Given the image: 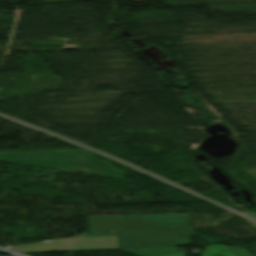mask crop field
Here are the masks:
<instances>
[{"label": "crop field", "instance_id": "obj_1", "mask_svg": "<svg viewBox=\"0 0 256 256\" xmlns=\"http://www.w3.org/2000/svg\"><path fill=\"white\" fill-rule=\"evenodd\" d=\"M84 150L0 153V161L42 166L121 179L124 171Z\"/></svg>", "mask_w": 256, "mask_h": 256}, {"label": "crop field", "instance_id": "obj_2", "mask_svg": "<svg viewBox=\"0 0 256 256\" xmlns=\"http://www.w3.org/2000/svg\"><path fill=\"white\" fill-rule=\"evenodd\" d=\"M89 236L116 231L189 228V214L88 217Z\"/></svg>", "mask_w": 256, "mask_h": 256}, {"label": "crop field", "instance_id": "obj_3", "mask_svg": "<svg viewBox=\"0 0 256 256\" xmlns=\"http://www.w3.org/2000/svg\"><path fill=\"white\" fill-rule=\"evenodd\" d=\"M117 248L116 236L76 238L74 240L62 239L45 241L39 244L24 245L11 250L21 253L89 250Z\"/></svg>", "mask_w": 256, "mask_h": 256}, {"label": "crop field", "instance_id": "obj_4", "mask_svg": "<svg viewBox=\"0 0 256 256\" xmlns=\"http://www.w3.org/2000/svg\"><path fill=\"white\" fill-rule=\"evenodd\" d=\"M131 254L138 256H162L175 253H181L176 250L175 247H165V248H146V249H127L122 250Z\"/></svg>", "mask_w": 256, "mask_h": 256}, {"label": "crop field", "instance_id": "obj_5", "mask_svg": "<svg viewBox=\"0 0 256 256\" xmlns=\"http://www.w3.org/2000/svg\"><path fill=\"white\" fill-rule=\"evenodd\" d=\"M207 249L208 252L202 253V256H235L224 245L207 246ZM174 256H183V254Z\"/></svg>", "mask_w": 256, "mask_h": 256}, {"label": "crop field", "instance_id": "obj_6", "mask_svg": "<svg viewBox=\"0 0 256 256\" xmlns=\"http://www.w3.org/2000/svg\"><path fill=\"white\" fill-rule=\"evenodd\" d=\"M229 250L232 251L236 256H251L245 252L244 248H230Z\"/></svg>", "mask_w": 256, "mask_h": 256}]
</instances>
